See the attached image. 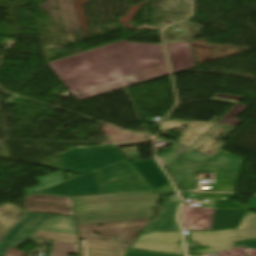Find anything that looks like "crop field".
Instances as JSON below:
<instances>
[{"label": "crop field", "mask_w": 256, "mask_h": 256, "mask_svg": "<svg viewBox=\"0 0 256 256\" xmlns=\"http://www.w3.org/2000/svg\"><path fill=\"white\" fill-rule=\"evenodd\" d=\"M36 179L40 186L24 190L27 195L56 186L65 181L62 171L37 177Z\"/></svg>", "instance_id": "4a817a6b"}, {"label": "crop field", "mask_w": 256, "mask_h": 256, "mask_svg": "<svg viewBox=\"0 0 256 256\" xmlns=\"http://www.w3.org/2000/svg\"><path fill=\"white\" fill-rule=\"evenodd\" d=\"M108 146H114V145H108ZM98 147H107V146H98ZM87 148H89V147H87Z\"/></svg>", "instance_id": "730fd06b"}, {"label": "crop field", "mask_w": 256, "mask_h": 256, "mask_svg": "<svg viewBox=\"0 0 256 256\" xmlns=\"http://www.w3.org/2000/svg\"><path fill=\"white\" fill-rule=\"evenodd\" d=\"M166 47L173 73L194 67L188 42L170 44Z\"/></svg>", "instance_id": "d9b57169"}, {"label": "crop field", "mask_w": 256, "mask_h": 256, "mask_svg": "<svg viewBox=\"0 0 256 256\" xmlns=\"http://www.w3.org/2000/svg\"><path fill=\"white\" fill-rule=\"evenodd\" d=\"M179 198H171L158 212L156 218L148 224L143 232L181 231L175 221Z\"/></svg>", "instance_id": "22f410ed"}, {"label": "crop field", "mask_w": 256, "mask_h": 256, "mask_svg": "<svg viewBox=\"0 0 256 256\" xmlns=\"http://www.w3.org/2000/svg\"><path fill=\"white\" fill-rule=\"evenodd\" d=\"M221 125H215L208 133L207 135L211 136Z\"/></svg>", "instance_id": "00972430"}, {"label": "crop field", "mask_w": 256, "mask_h": 256, "mask_svg": "<svg viewBox=\"0 0 256 256\" xmlns=\"http://www.w3.org/2000/svg\"><path fill=\"white\" fill-rule=\"evenodd\" d=\"M81 256H123L130 245L120 243L80 241Z\"/></svg>", "instance_id": "5142ce71"}, {"label": "crop field", "mask_w": 256, "mask_h": 256, "mask_svg": "<svg viewBox=\"0 0 256 256\" xmlns=\"http://www.w3.org/2000/svg\"><path fill=\"white\" fill-rule=\"evenodd\" d=\"M246 207L256 211V196L246 205Z\"/></svg>", "instance_id": "dafd665d"}, {"label": "crop field", "mask_w": 256, "mask_h": 256, "mask_svg": "<svg viewBox=\"0 0 256 256\" xmlns=\"http://www.w3.org/2000/svg\"><path fill=\"white\" fill-rule=\"evenodd\" d=\"M188 237L202 247L210 246L193 252L196 255L232 249L235 242L256 240V214L247 213L236 230L191 232Z\"/></svg>", "instance_id": "412701ff"}, {"label": "crop field", "mask_w": 256, "mask_h": 256, "mask_svg": "<svg viewBox=\"0 0 256 256\" xmlns=\"http://www.w3.org/2000/svg\"><path fill=\"white\" fill-rule=\"evenodd\" d=\"M157 194H129L74 199L78 225L153 216ZM160 208V207H158Z\"/></svg>", "instance_id": "ac0d7876"}, {"label": "crop field", "mask_w": 256, "mask_h": 256, "mask_svg": "<svg viewBox=\"0 0 256 256\" xmlns=\"http://www.w3.org/2000/svg\"><path fill=\"white\" fill-rule=\"evenodd\" d=\"M26 254L23 251L13 250L11 248H7V252L5 256H25Z\"/></svg>", "instance_id": "92a150f3"}, {"label": "crop field", "mask_w": 256, "mask_h": 256, "mask_svg": "<svg viewBox=\"0 0 256 256\" xmlns=\"http://www.w3.org/2000/svg\"><path fill=\"white\" fill-rule=\"evenodd\" d=\"M69 254L79 256L77 244L55 242L50 256H69Z\"/></svg>", "instance_id": "bc2a9ffb"}, {"label": "crop field", "mask_w": 256, "mask_h": 256, "mask_svg": "<svg viewBox=\"0 0 256 256\" xmlns=\"http://www.w3.org/2000/svg\"><path fill=\"white\" fill-rule=\"evenodd\" d=\"M234 127L223 126L218 132H216L212 137L221 141Z\"/></svg>", "instance_id": "214f88e0"}, {"label": "crop field", "mask_w": 256, "mask_h": 256, "mask_svg": "<svg viewBox=\"0 0 256 256\" xmlns=\"http://www.w3.org/2000/svg\"><path fill=\"white\" fill-rule=\"evenodd\" d=\"M48 65L68 90H74L97 74L132 85L169 74L162 45L124 40Z\"/></svg>", "instance_id": "8a807250"}, {"label": "crop field", "mask_w": 256, "mask_h": 256, "mask_svg": "<svg viewBox=\"0 0 256 256\" xmlns=\"http://www.w3.org/2000/svg\"><path fill=\"white\" fill-rule=\"evenodd\" d=\"M234 194L200 195L183 193V198H217L215 208L189 207L181 209L180 221L185 230H225L236 229L248 208L232 202Z\"/></svg>", "instance_id": "34b2d1b8"}, {"label": "crop field", "mask_w": 256, "mask_h": 256, "mask_svg": "<svg viewBox=\"0 0 256 256\" xmlns=\"http://www.w3.org/2000/svg\"><path fill=\"white\" fill-rule=\"evenodd\" d=\"M39 193L62 196H77L101 194V191L99 188L97 172L95 170Z\"/></svg>", "instance_id": "3316defc"}, {"label": "crop field", "mask_w": 256, "mask_h": 256, "mask_svg": "<svg viewBox=\"0 0 256 256\" xmlns=\"http://www.w3.org/2000/svg\"><path fill=\"white\" fill-rule=\"evenodd\" d=\"M28 212L73 216L69 198L33 195L26 198Z\"/></svg>", "instance_id": "28ad6ade"}, {"label": "crop field", "mask_w": 256, "mask_h": 256, "mask_svg": "<svg viewBox=\"0 0 256 256\" xmlns=\"http://www.w3.org/2000/svg\"><path fill=\"white\" fill-rule=\"evenodd\" d=\"M242 98L240 97H233V96H225L217 94L214 98L211 100L213 101H220V102H226V103H233L237 104ZM246 106L237 104L236 107L228 114L226 115L218 124L223 125H230V126H236L238 123H240V120L234 119L240 112H242Z\"/></svg>", "instance_id": "733c2abd"}, {"label": "crop field", "mask_w": 256, "mask_h": 256, "mask_svg": "<svg viewBox=\"0 0 256 256\" xmlns=\"http://www.w3.org/2000/svg\"><path fill=\"white\" fill-rule=\"evenodd\" d=\"M46 240H53V243L54 241L77 243L74 218L55 216L30 239L37 244H53Z\"/></svg>", "instance_id": "5a996713"}, {"label": "crop field", "mask_w": 256, "mask_h": 256, "mask_svg": "<svg viewBox=\"0 0 256 256\" xmlns=\"http://www.w3.org/2000/svg\"><path fill=\"white\" fill-rule=\"evenodd\" d=\"M132 86L108 77L97 75L87 83L78 87L74 91H70L74 97L80 101L97 95L115 91L121 88Z\"/></svg>", "instance_id": "d1516ede"}, {"label": "crop field", "mask_w": 256, "mask_h": 256, "mask_svg": "<svg viewBox=\"0 0 256 256\" xmlns=\"http://www.w3.org/2000/svg\"><path fill=\"white\" fill-rule=\"evenodd\" d=\"M201 194H221V193H201Z\"/></svg>", "instance_id": "4177f3b9"}, {"label": "crop field", "mask_w": 256, "mask_h": 256, "mask_svg": "<svg viewBox=\"0 0 256 256\" xmlns=\"http://www.w3.org/2000/svg\"><path fill=\"white\" fill-rule=\"evenodd\" d=\"M131 164L135 170L143 176L153 191L169 184L166 175L157 166L153 159L132 162Z\"/></svg>", "instance_id": "cbeb9de0"}, {"label": "crop field", "mask_w": 256, "mask_h": 256, "mask_svg": "<svg viewBox=\"0 0 256 256\" xmlns=\"http://www.w3.org/2000/svg\"><path fill=\"white\" fill-rule=\"evenodd\" d=\"M63 170L85 174L125 159L117 147L74 149L59 154Z\"/></svg>", "instance_id": "f4fd0767"}, {"label": "crop field", "mask_w": 256, "mask_h": 256, "mask_svg": "<svg viewBox=\"0 0 256 256\" xmlns=\"http://www.w3.org/2000/svg\"><path fill=\"white\" fill-rule=\"evenodd\" d=\"M158 159H159L160 163L162 164L163 168L166 167V166L164 165V163H163L161 157H159Z\"/></svg>", "instance_id": "a9b5d70f"}, {"label": "crop field", "mask_w": 256, "mask_h": 256, "mask_svg": "<svg viewBox=\"0 0 256 256\" xmlns=\"http://www.w3.org/2000/svg\"><path fill=\"white\" fill-rule=\"evenodd\" d=\"M181 232L142 233L131 249L184 255Z\"/></svg>", "instance_id": "d8731c3e"}, {"label": "crop field", "mask_w": 256, "mask_h": 256, "mask_svg": "<svg viewBox=\"0 0 256 256\" xmlns=\"http://www.w3.org/2000/svg\"><path fill=\"white\" fill-rule=\"evenodd\" d=\"M151 218L78 226L79 239L120 242L132 245ZM129 223V224H127ZM103 225V227H98ZM94 232L100 235L93 234Z\"/></svg>", "instance_id": "dd49c442"}, {"label": "crop field", "mask_w": 256, "mask_h": 256, "mask_svg": "<svg viewBox=\"0 0 256 256\" xmlns=\"http://www.w3.org/2000/svg\"><path fill=\"white\" fill-rule=\"evenodd\" d=\"M51 218H53V216L33 214L26 211L25 214L14 223L0 242V256L4 255L7 247L18 248Z\"/></svg>", "instance_id": "e52e79f7"}]
</instances>
